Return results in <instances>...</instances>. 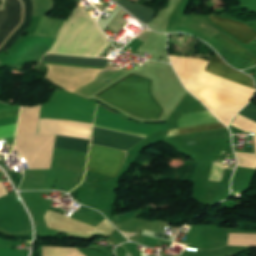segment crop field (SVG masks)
Returning a JSON list of instances; mask_svg holds the SVG:
<instances>
[{
  "mask_svg": "<svg viewBox=\"0 0 256 256\" xmlns=\"http://www.w3.org/2000/svg\"><path fill=\"white\" fill-rule=\"evenodd\" d=\"M89 140L56 136L54 147L87 152Z\"/></svg>",
  "mask_w": 256,
  "mask_h": 256,
  "instance_id": "28ad6ade",
  "label": "crop field"
},
{
  "mask_svg": "<svg viewBox=\"0 0 256 256\" xmlns=\"http://www.w3.org/2000/svg\"><path fill=\"white\" fill-rule=\"evenodd\" d=\"M96 128H94L93 130L91 144L128 150L143 139V137L132 136Z\"/></svg>",
  "mask_w": 256,
  "mask_h": 256,
  "instance_id": "412701ff",
  "label": "crop field"
},
{
  "mask_svg": "<svg viewBox=\"0 0 256 256\" xmlns=\"http://www.w3.org/2000/svg\"><path fill=\"white\" fill-rule=\"evenodd\" d=\"M109 59H87L79 57L46 55L42 61L104 67Z\"/></svg>",
  "mask_w": 256,
  "mask_h": 256,
  "instance_id": "d8731c3e",
  "label": "crop field"
},
{
  "mask_svg": "<svg viewBox=\"0 0 256 256\" xmlns=\"http://www.w3.org/2000/svg\"><path fill=\"white\" fill-rule=\"evenodd\" d=\"M229 67L215 53L214 57L209 62V64L207 65V67L204 71L256 90V88L253 84V81L250 77H248L238 71H235Z\"/></svg>",
  "mask_w": 256,
  "mask_h": 256,
  "instance_id": "f4fd0767",
  "label": "crop field"
},
{
  "mask_svg": "<svg viewBox=\"0 0 256 256\" xmlns=\"http://www.w3.org/2000/svg\"><path fill=\"white\" fill-rule=\"evenodd\" d=\"M217 42H219L221 45H223L225 48H227L229 51H231L233 54H235L237 57H239L241 60L250 61L252 64L256 65V58H254L251 54H249L247 51L242 49L240 46L232 42L230 39H228L223 34L213 38Z\"/></svg>",
  "mask_w": 256,
  "mask_h": 256,
  "instance_id": "3316defc",
  "label": "crop field"
},
{
  "mask_svg": "<svg viewBox=\"0 0 256 256\" xmlns=\"http://www.w3.org/2000/svg\"><path fill=\"white\" fill-rule=\"evenodd\" d=\"M239 114L256 122V105L250 102Z\"/></svg>",
  "mask_w": 256,
  "mask_h": 256,
  "instance_id": "22f410ed",
  "label": "crop field"
},
{
  "mask_svg": "<svg viewBox=\"0 0 256 256\" xmlns=\"http://www.w3.org/2000/svg\"><path fill=\"white\" fill-rule=\"evenodd\" d=\"M223 128L225 127L222 126L220 123H215V124H208V125H201V126L172 129L168 131L166 137L181 135V134H188V133H195V132H202V131H209V130H216V129H223Z\"/></svg>",
  "mask_w": 256,
  "mask_h": 256,
  "instance_id": "d1516ede",
  "label": "crop field"
},
{
  "mask_svg": "<svg viewBox=\"0 0 256 256\" xmlns=\"http://www.w3.org/2000/svg\"><path fill=\"white\" fill-rule=\"evenodd\" d=\"M117 2L127 11H129L135 18L146 25H148L154 17V11L148 7H144L126 0H118Z\"/></svg>",
  "mask_w": 256,
  "mask_h": 256,
  "instance_id": "5a996713",
  "label": "crop field"
},
{
  "mask_svg": "<svg viewBox=\"0 0 256 256\" xmlns=\"http://www.w3.org/2000/svg\"><path fill=\"white\" fill-rule=\"evenodd\" d=\"M14 151H16V150L14 149ZM14 151H13V152H14ZM16 152H17V151H16ZM17 154H18V152H17ZM18 155H19V154H18ZM19 156H20V155H19Z\"/></svg>",
  "mask_w": 256,
  "mask_h": 256,
  "instance_id": "5142ce71",
  "label": "crop field"
},
{
  "mask_svg": "<svg viewBox=\"0 0 256 256\" xmlns=\"http://www.w3.org/2000/svg\"><path fill=\"white\" fill-rule=\"evenodd\" d=\"M210 20L213 24L244 44H248L256 39V32L240 22L212 16H210Z\"/></svg>",
  "mask_w": 256,
  "mask_h": 256,
  "instance_id": "dd49c442",
  "label": "crop field"
},
{
  "mask_svg": "<svg viewBox=\"0 0 256 256\" xmlns=\"http://www.w3.org/2000/svg\"><path fill=\"white\" fill-rule=\"evenodd\" d=\"M25 7V19L23 25L12 35L5 47L1 52L7 51L10 46L15 42L18 36L26 30L31 23V10L32 1L22 0ZM3 6V0H2ZM1 6V9H2ZM0 9V10H1ZM22 6L19 0H5L3 9L0 11V46L8 36V34L14 29V27L20 22ZM20 37V36H19ZM17 41V40H16ZM12 47V46H11Z\"/></svg>",
  "mask_w": 256,
  "mask_h": 256,
  "instance_id": "ac0d7876",
  "label": "crop field"
},
{
  "mask_svg": "<svg viewBox=\"0 0 256 256\" xmlns=\"http://www.w3.org/2000/svg\"><path fill=\"white\" fill-rule=\"evenodd\" d=\"M64 21L65 20L63 19L50 18L41 15L33 35L56 38L58 30Z\"/></svg>",
  "mask_w": 256,
  "mask_h": 256,
  "instance_id": "e52e79f7",
  "label": "crop field"
},
{
  "mask_svg": "<svg viewBox=\"0 0 256 256\" xmlns=\"http://www.w3.org/2000/svg\"><path fill=\"white\" fill-rule=\"evenodd\" d=\"M125 155V152L91 146L86 170L116 178L124 163Z\"/></svg>",
  "mask_w": 256,
  "mask_h": 256,
  "instance_id": "34b2d1b8",
  "label": "crop field"
},
{
  "mask_svg": "<svg viewBox=\"0 0 256 256\" xmlns=\"http://www.w3.org/2000/svg\"><path fill=\"white\" fill-rule=\"evenodd\" d=\"M19 112V108L17 109H12V110H7V111H1L0 112V117H5V116H10V115H16Z\"/></svg>",
  "mask_w": 256,
  "mask_h": 256,
  "instance_id": "cbeb9de0",
  "label": "crop field"
},
{
  "mask_svg": "<svg viewBox=\"0 0 256 256\" xmlns=\"http://www.w3.org/2000/svg\"><path fill=\"white\" fill-rule=\"evenodd\" d=\"M150 84V79L131 74L96 97L136 117L158 120L163 109L152 96Z\"/></svg>",
  "mask_w": 256,
  "mask_h": 256,
  "instance_id": "8a807250",
  "label": "crop field"
},
{
  "mask_svg": "<svg viewBox=\"0 0 256 256\" xmlns=\"http://www.w3.org/2000/svg\"><path fill=\"white\" fill-rule=\"evenodd\" d=\"M53 1H55V0H53Z\"/></svg>",
  "mask_w": 256,
  "mask_h": 256,
  "instance_id": "d9b57169",
  "label": "crop field"
}]
</instances>
